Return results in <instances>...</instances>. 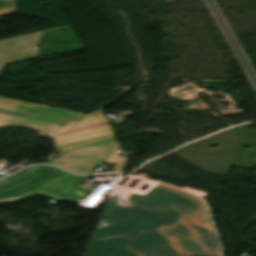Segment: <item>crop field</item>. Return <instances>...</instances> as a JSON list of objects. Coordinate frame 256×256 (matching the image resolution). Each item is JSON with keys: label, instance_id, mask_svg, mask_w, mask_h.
Returning <instances> with one entry per match:
<instances>
[{"label": "crop field", "instance_id": "obj_4", "mask_svg": "<svg viewBox=\"0 0 256 256\" xmlns=\"http://www.w3.org/2000/svg\"><path fill=\"white\" fill-rule=\"evenodd\" d=\"M84 115L0 97V128L20 125L48 133Z\"/></svg>", "mask_w": 256, "mask_h": 256}, {"label": "crop field", "instance_id": "obj_6", "mask_svg": "<svg viewBox=\"0 0 256 256\" xmlns=\"http://www.w3.org/2000/svg\"><path fill=\"white\" fill-rule=\"evenodd\" d=\"M128 157L115 154L113 140L63 152L49 161L61 168L80 174H92L98 161L116 163L112 172H122Z\"/></svg>", "mask_w": 256, "mask_h": 256}, {"label": "crop field", "instance_id": "obj_8", "mask_svg": "<svg viewBox=\"0 0 256 256\" xmlns=\"http://www.w3.org/2000/svg\"><path fill=\"white\" fill-rule=\"evenodd\" d=\"M15 13V0H0V16Z\"/></svg>", "mask_w": 256, "mask_h": 256}, {"label": "crop field", "instance_id": "obj_2", "mask_svg": "<svg viewBox=\"0 0 256 256\" xmlns=\"http://www.w3.org/2000/svg\"><path fill=\"white\" fill-rule=\"evenodd\" d=\"M117 202L111 198L90 242L209 213L198 197L163 184L145 196H130L129 207Z\"/></svg>", "mask_w": 256, "mask_h": 256}, {"label": "crop field", "instance_id": "obj_7", "mask_svg": "<svg viewBox=\"0 0 256 256\" xmlns=\"http://www.w3.org/2000/svg\"><path fill=\"white\" fill-rule=\"evenodd\" d=\"M41 34L0 41V74L6 64L36 58L39 49L32 46L39 45Z\"/></svg>", "mask_w": 256, "mask_h": 256}, {"label": "crop field", "instance_id": "obj_3", "mask_svg": "<svg viewBox=\"0 0 256 256\" xmlns=\"http://www.w3.org/2000/svg\"><path fill=\"white\" fill-rule=\"evenodd\" d=\"M85 178L52 166H38L0 183V203L13 202L37 193L56 200H81L87 192L74 189Z\"/></svg>", "mask_w": 256, "mask_h": 256}, {"label": "crop field", "instance_id": "obj_5", "mask_svg": "<svg viewBox=\"0 0 256 256\" xmlns=\"http://www.w3.org/2000/svg\"><path fill=\"white\" fill-rule=\"evenodd\" d=\"M101 109L58 129L54 138L60 152L114 139L113 126Z\"/></svg>", "mask_w": 256, "mask_h": 256}, {"label": "crop field", "instance_id": "obj_9", "mask_svg": "<svg viewBox=\"0 0 256 256\" xmlns=\"http://www.w3.org/2000/svg\"><path fill=\"white\" fill-rule=\"evenodd\" d=\"M28 168H30V167H28ZM28 168H26V169H28ZM26 169H24V170H26ZM24 170H22V171H24ZM22 171H20V172H22ZM20 172H18V173H20ZM18 173H16V174H18ZM16 174H14V175H16ZM14 175H12V176H14ZM12 176H10V177H12ZM10 177H8V178H10ZM8 178H6V179H8ZM6 179H4V180H6ZM4 180H2V181H4ZM2 181H0V182H2Z\"/></svg>", "mask_w": 256, "mask_h": 256}, {"label": "crop field", "instance_id": "obj_1", "mask_svg": "<svg viewBox=\"0 0 256 256\" xmlns=\"http://www.w3.org/2000/svg\"><path fill=\"white\" fill-rule=\"evenodd\" d=\"M83 256H220V247L207 214L88 243Z\"/></svg>", "mask_w": 256, "mask_h": 256}]
</instances>
